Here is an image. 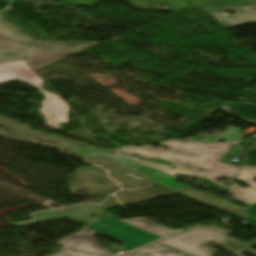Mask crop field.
Masks as SVG:
<instances>
[{
  "instance_id": "obj_12",
  "label": "crop field",
  "mask_w": 256,
  "mask_h": 256,
  "mask_svg": "<svg viewBox=\"0 0 256 256\" xmlns=\"http://www.w3.org/2000/svg\"><path fill=\"white\" fill-rule=\"evenodd\" d=\"M122 221L130 225L136 226L138 228L144 229L146 231L152 232L154 234L160 235L162 237H165L169 234L176 232L168 228L143 221L141 219H131V220H122Z\"/></svg>"
},
{
  "instance_id": "obj_19",
  "label": "crop field",
  "mask_w": 256,
  "mask_h": 256,
  "mask_svg": "<svg viewBox=\"0 0 256 256\" xmlns=\"http://www.w3.org/2000/svg\"><path fill=\"white\" fill-rule=\"evenodd\" d=\"M254 214L255 216H253L252 218L248 217L247 223L253 227H256V205L251 206L250 210L247 213V216Z\"/></svg>"
},
{
  "instance_id": "obj_17",
  "label": "crop field",
  "mask_w": 256,
  "mask_h": 256,
  "mask_svg": "<svg viewBox=\"0 0 256 256\" xmlns=\"http://www.w3.org/2000/svg\"><path fill=\"white\" fill-rule=\"evenodd\" d=\"M221 137V136H220ZM241 138L234 127L229 126L220 139L227 141H238Z\"/></svg>"
},
{
  "instance_id": "obj_1",
  "label": "crop field",
  "mask_w": 256,
  "mask_h": 256,
  "mask_svg": "<svg viewBox=\"0 0 256 256\" xmlns=\"http://www.w3.org/2000/svg\"><path fill=\"white\" fill-rule=\"evenodd\" d=\"M0 18V62L25 58L36 69L97 42H34ZM12 53L13 56H7Z\"/></svg>"
},
{
  "instance_id": "obj_20",
  "label": "crop field",
  "mask_w": 256,
  "mask_h": 256,
  "mask_svg": "<svg viewBox=\"0 0 256 256\" xmlns=\"http://www.w3.org/2000/svg\"><path fill=\"white\" fill-rule=\"evenodd\" d=\"M179 176L188 177V178H194V179H200V178H196V177H192V176H187V175H183V174H180ZM200 180H202V181H204L206 184H208V185H210V186H212V187H214V188L220 190L221 192L226 191V190L223 189L222 187L216 185L215 183L211 182L210 180H208V179H206V178H205V179H200ZM204 182H203V183H204Z\"/></svg>"
},
{
  "instance_id": "obj_13",
  "label": "crop field",
  "mask_w": 256,
  "mask_h": 256,
  "mask_svg": "<svg viewBox=\"0 0 256 256\" xmlns=\"http://www.w3.org/2000/svg\"><path fill=\"white\" fill-rule=\"evenodd\" d=\"M229 191L232 193L234 199L237 201H240L247 205H253L256 203V191H254L250 187L242 189L233 183Z\"/></svg>"
},
{
  "instance_id": "obj_9",
  "label": "crop field",
  "mask_w": 256,
  "mask_h": 256,
  "mask_svg": "<svg viewBox=\"0 0 256 256\" xmlns=\"http://www.w3.org/2000/svg\"><path fill=\"white\" fill-rule=\"evenodd\" d=\"M231 9L236 10L235 15H228L223 12ZM205 10L226 29L256 23V7L216 8Z\"/></svg>"
},
{
  "instance_id": "obj_6",
  "label": "crop field",
  "mask_w": 256,
  "mask_h": 256,
  "mask_svg": "<svg viewBox=\"0 0 256 256\" xmlns=\"http://www.w3.org/2000/svg\"><path fill=\"white\" fill-rule=\"evenodd\" d=\"M90 151V152H88ZM78 153L86 154L94 158H100L106 157L112 162L117 163L119 166L128 169L130 171L136 172L138 174H141L165 187L172 188V189H177L179 185L175 182L177 178H174L172 176H169L167 174L158 172L156 170H153L151 168H148L144 165H141L137 162L131 161L129 159L114 155L112 153H105V152H97L93 150H87V149H82L77 151ZM131 168V169H129Z\"/></svg>"
},
{
  "instance_id": "obj_3",
  "label": "crop field",
  "mask_w": 256,
  "mask_h": 256,
  "mask_svg": "<svg viewBox=\"0 0 256 256\" xmlns=\"http://www.w3.org/2000/svg\"><path fill=\"white\" fill-rule=\"evenodd\" d=\"M13 79L35 86L45 95V101L41 102L42 108L39 109V112L47 119L44 124L55 130H60L59 122H67L68 106L58 95L41 89V78L24 60L0 63V84Z\"/></svg>"
},
{
  "instance_id": "obj_7",
  "label": "crop field",
  "mask_w": 256,
  "mask_h": 256,
  "mask_svg": "<svg viewBox=\"0 0 256 256\" xmlns=\"http://www.w3.org/2000/svg\"><path fill=\"white\" fill-rule=\"evenodd\" d=\"M121 152H124L126 154H133V153H136L144 158H156V157H160L170 163H173V164H176L174 170H172L171 166H163V165H157V164H152V163H147V162H143V161H140L138 159H135V158H132V157H126V156H123V155H120L119 153ZM114 154H117V155H120V156H123V157H126V158H129L131 160H134V161H137L141 164H144L148 167H151L153 169H156L158 171H161V172H164V173H167L169 175H172L174 177H176L178 174L180 173H183V174H187V175H192V176H196V177H200V178H204L200 175H198L197 173H195L194 171H192L191 169H189L188 167L178 163L177 161H175L174 159H172L171 157L167 156L166 154L156 150L155 148L147 145V146H139V147H136V146H125V147H122L120 149H118L117 151L114 152ZM125 154V155H126Z\"/></svg>"
},
{
  "instance_id": "obj_14",
  "label": "crop field",
  "mask_w": 256,
  "mask_h": 256,
  "mask_svg": "<svg viewBox=\"0 0 256 256\" xmlns=\"http://www.w3.org/2000/svg\"><path fill=\"white\" fill-rule=\"evenodd\" d=\"M246 246H247V243H243V242L228 238V240L225 242V244L222 247L232 252L236 256H241L240 254L241 252H246L256 256V251L245 249Z\"/></svg>"
},
{
  "instance_id": "obj_4",
  "label": "crop field",
  "mask_w": 256,
  "mask_h": 256,
  "mask_svg": "<svg viewBox=\"0 0 256 256\" xmlns=\"http://www.w3.org/2000/svg\"><path fill=\"white\" fill-rule=\"evenodd\" d=\"M231 233L232 231L216 226L198 225L194 228L166 237L165 240L159 243L194 256H214L216 250L205 248L202 245L210 241L223 245Z\"/></svg>"
},
{
  "instance_id": "obj_10",
  "label": "crop field",
  "mask_w": 256,
  "mask_h": 256,
  "mask_svg": "<svg viewBox=\"0 0 256 256\" xmlns=\"http://www.w3.org/2000/svg\"><path fill=\"white\" fill-rule=\"evenodd\" d=\"M220 109L237 118L256 123V105L226 103Z\"/></svg>"
},
{
  "instance_id": "obj_15",
  "label": "crop field",
  "mask_w": 256,
  "mask_h": 256,
  "mask_svg": "<svg viewBox=\"0 0 256 256\" xmlns=\"http://www.w3.org/2000/svg\"><path fill=\"white\" fill-rule=\"evenodd\" d=\"M237 179L256 190V167L242 166Z\"/></svg>"
},
{
  "instance_id": "obj_21",
  "label": "crop field",
  "mask_w": 256,
  "mask_h": 256,
  "mask_svg": "<svg viewBox=\"0 0 256 256\" xmlns=\"http://www.w3.org/2000/svg\"><path fill=\"white\" fill-rule=\"evenodd\" d=\"M180 9H181L180 7H176V6L170 5V7L168 8L167 11H178Z\"/></svg>"
},
{
  "instance_id": "obj_16",
  "label": "crop field",
  "mask_w": 256,
  "mask_h": 256,
  "mask_svg": "<svg viewBox=\"0 0 256 256\" xmlns=\"http://www.w3.org/2000/svg\"><path fill=\"white\" fill-rule=\"evenodd\" d=\"M101 0H57L59 4L76 5V6H94Z\"/></svg>"
},
{
  "instance_id": "obj_5",
  "label": "crop field",
  "mask_w": 256,
  "mask_h": 256,
  "mask_svg": "<svg viewBox=\"0 0 256 256\" xmlns=\"http://www.w3.org/2000/svg\"><path fill=\"white\" fill-rule=\"evenodd\" d=\"M87 228L118 240L122 242V245L132 249L160 238L133 226L117 221L112 217V215L87 226Z\"/></svg>"
},
{
  "instance_id": "obj_2",
  "label": "crop field",
  "mask_w": 256,
  "mask_h": 256,
  "mask_svg": "<svg viewBox=\"0 0 256 256\" xmlns=\"http://www.w3.org/2000/svg\"><path fill=\"white\" fill-rule=\"evenodd\" d=\"M159 144L170 150H166L162 148V146L157 149L163 151L182 164L194 166L192 170L227 190L228 187L215 180L222 176L234 178L240 168L239 166L219 162L234 144L218 141L202 143L186 140L181 142L179 139L168 140L160 142ZM198 167L204 168L206 171L202 172L196 170Z\"/></svg>"
},
{
  "instance_id": "obj_18",
  "label": "crop field",
  "mask_w": 256,
  "mask_h": 256,
  "mask_svg": "<svg viewBox=\"0 0 256 256\" xmlns=\"http://www.w3.org/2000/svg\"><path fill=\"white\" fill-rule=\"evenodd\" d=\"M51 256H86L81 253L75 252L73 250L67 249L65 247L62 248V251L55 253Z\"/></svg>"
},
{
  "instance_id": "obj_8",
  "label": "crop field",
  "mask_w": 256,
  "mask_h": 256,
  "mask_svg": "<svg viewBox=\"0 0 256 256\" xmlns=\"http://www.w3.org/2000/svg\"><path fill=\"white\" fill-rule=\"evenodd\" d=\"M95 233L87 228H83L79 233L71 235L58 243L89 256H109L111 252L98 244L93 238Z\"/></svg>"
},
{
  "instance_id": "obj_11",
  "label": "crop field",
  "mask_w": 256,
  "mask_h": 256,
  "mask_svg": "<svg viewBox=\"0 0 256 256\" xmlns=\"http://www.w3.org/2000/svg\"><path fill=\"white\" fill-rule=\"evenodd\" d=\"M127 256H189L186 254L178 253L169 248L152 243L135 251H132Z\"/></svg>"
}]
</instances>
